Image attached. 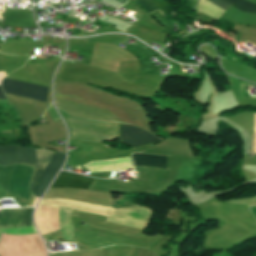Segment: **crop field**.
<instances>
[{"instance_id":"obj_1","label":"crop field","mask_w":256,"mask_h":256,"mask_svg":"<svg viewBox=\"0 0 256 256\" xmlns=\"http://www.w3.org/2000/svg\"><path fill=\"white\" fill-rule=\"evenodd\" d=\"M0 256H46V250L38 233L27 236L2 234Z\"/></svg>"},{"instance_id":"obj_2","label":"crop field","mask_w":256,"mask_h":256,"mask_svg":"<svg viewBox=\"0 0 256 256\" xmlns=\"http://www.w3.org/2000/svg\"><path fill=\"white\" fill-rule=\"evenodd\" d=\"M33 168L26 165H15L10 177L6 196L14 197L16 203L24 207L29 201V182Z\"/></svg>"},{"instance_id":"obj_3","label":"crop field","mask_w":256,"mask_h":256,"mask_svg":"<svg viewBox=\"0 0 256 256\" xmlns=\"http://www.w3.org/2000/svg\"><path fill=\"white\" fill-rule=\"evenodd\" d=\"M2 87L5 93L41 101L46 100L48 90L46 87L7 79H4Z\"/></svg>"},{"instance_id":"obj_4","label":"crop field","mask_w":256,"mask_h":256,"mask_svg":"<svg viewBox=\"0 0 256 256\" xmlns=\"http://www.w3.org/2000/svg\"><path fill=\"white\" fill-rule=\"evenodd\" d=\"M120 133L123 142L133 147L160 140L139 128L127 124L120 128Z\"/></svg>"},{"instance_id":"obj_5","label":"crop field","mask_w":256,"mask_h":256,"mask_svg":"<svg viewBox=\"0 0 256 256\" xmlns=\"http://www.w3.org/2000/svg\"><path fill=\"white\" fill-rule=\"evenodd\" d=\"M2 17L4 26L37 28L31 11L3 10Z\"/></svg>"},{"instance_id":"obj_6","label":"crop field","mask_w":256,"mask_h":256,"mask_svg":"<svg viewBox=\"0 0 256 256\" xmlns=\"http://www.w3.org/2000/svg\"><path fill=\"white\" fill-rule=\"evenodd\" d=\"M92 181V178L61 171L51 188L87 189Z\"/></svg>"},{"instance_id":"obj_7","label":"crop field","mask_w":256,"mask_h":256,"mask_svg":"<svg viewBox=\"0 0 256 256\" xmlns=\"http://www.w3.org/2000/svg\"><path fill=\"white\" fill-rule=\"evenodd\" d=\"M64 158H65V154L50 151V158L48 160V166H47L46 172L40 182L36 197L40 198V196L46 190V188L50 184L51 180L53 179V177L55 176V174L57 173L59 168L62 166V164L64 162ZM36 201H38L37 198H36Z\"/></svg>"},{"instance_id":"obj_8","label":"crop field","mask_w":256,"mask_h":256,"mask_svg":"<svg viewBox=\"0 0 256 256\" xmlns=\"http://www.w3.org/2000/svg\"><path fill=\"white\" fill-rule=\"evenodd\" d=\"M49 151L36 149L37 163L31 181L30 191L35 195L39 182L45 172Z\"/></svg>"},{"instance_id":"obj_9","label":"crop field","mask_w":256,"mask_h":256,"mask_svg":"<svg viewBox=\"0 0 256 256\" xmlns=\"http://www.w3.org/2000/svg\"><path fill=\"white\" fill-rule=\"evenodd\" d=\"M25 208L7 209L0 212V228L18 227Z\"/></svg>"},{"instance_id":"obj_10","label":"crop field","mask_w":256,"mask_h":256,"mask_svg":"<svg viewBox=\"0 0 256 256\" xmlns=\"http://www.w3.org/2000/svg\"><path fill=\"white\" fill-rule=\"evenodd\" d=\"M135 165H144V166H156L166 168V159L165 156L157 155H148V154H132Z\"/></svg>"},{"instance_id":"obj_11","label":"crop field","mask_w":256,"mask_h":256,"mask_svg":"<svg viewBox=\"0 0 256 256\" xmlns=\"http://www.w3.org/2000/svg\"><path fill=\"white\" fill-rule=\"evenodd\" d=\"M36 157L35 149L23 148L17 146V162L21 164H29L35 166Z\"/></svg>"},{"instance_id":"obj_12","label":"crop field","mask_w":256,"mask_h":256,"mask_svg":"<svg viewBox=\"0 0 256 256\" xmlns=\"http://www.w3.org/2000/svg\"><path fill=\"white\" fill-rule=\"evenodd\" d=\"M16 162L15 146L1 145L0 146V165H8Z\"/></svg>"},{"instance_id":"obj_13","label":"crop field","mask_w":256,"mask_h":256,"mask_svg":"<svg viewBox=\"0 0 256 256\" xmlns=\"http://www.w3.org/2000/svg\"><path fill=\"white\" fill-rule=\"evenodd\" d=\"M225 1L230 2V3L232 4L231 6H233V7H235V8H238V9H240V10H242V11H245V12H247V13H250V14L256 16V8L250 7V6H255V7H256L255 4L248 3V2H245V1H243V0H239V1H241V2H243V3H246V4L250 5V6H248V5H246V4H243V3L239 2V1H236V0H225ZM230 3H229V4H230Z\"/></svg>"},{"instance_id":"obj_14","label":"crop field","mask_w":256,"mask_h":256,"mask_svg":"<svg viewBox=\"0 0 256 256\" xmlns=\"http://www.w3.org/2000/svg\"><path fill=\"white\" fill-rule=\"evenodd\" d=\"M13 165L8 167H0V187L6 191L9 176Z\"/></svg>"},{"instance_id":"obj_15","label":"crop field","mask_w":256,"mask_h":256,"mask_svg":"<svg viewBox=\"0 0 256 256\" xmlns=\"http://www.w3.org/2000/svg\"><path fill=\"white\" fill-rule=\"evenodd\" d=\"M134 2H136L138 5H140L142 8H144L145 10H147L150 13H153L157 10H159L156 6H154L150 0H133Z\"/></svg>"},{"instance_id":"obj_16","label":"crop field","mask_w":256,"mask_h":256,"mask_svg":"<svg viewBox=\"0 0 256 256\" xmlns=\"http://www.w3.org/2000/svg\"><path fill=\"white\" fill-rule=\"evenodd\" d=\"M32 210H33V208H26L25 209V212H24V215H23V218L21 220V223H20L19 227L33 225L32 220H31Z\"/></svg>"},{"instance_id":"obj_17","label":"crop field","mask_w":256,"mask_h":256,"mask_svg":"<svg viewBox=\"0 0 256 256\" xmlns=\"http://www.w3.org/2000/svg\"><path fill=\"white\" fill-rule=\"evenodd\" d=\"M208 1L217 5V6H219V7H221V8H223V9H225V10L229 6V4H227V3H225L221 0H208Z\"/></svg>"},{"instance_id":"obj_18","label":"crop field","mask_w":256,"mask_h":256,"mask_svg":"<svg viewBox=\"0 0 256 256\" xmlns=\"http://www.w3.org/2000/svg\"><path fill=\"white\" fill-rule=\"evenodd\" d=\"M33 201H34V197L32 194H30V201L29 203L27 204V206H32L33 205Z\"/></svg>"},{"instance_id":"obj_19","label":"crop field","mask_w":256,"mask_h":256,"mask_svg":"<svg viewBox=\"0 0 256 256\" xmlns=\"http://www.w3.org/2000/svg\"><path fill=\"white\" fill-rule=\"evenodd\" d=\"M0 99H6L1 87H0Z\"/></svg>"},{"instance_id":"obj_20","label":"crop field","mask_w":256,"mask_h":256,"mask_svg":"<svg viewBox=\"0 0 256 256\" xmlns=\"http://www.w3.org/2000/svg\"><path fill=\"white\" fill-rule=\"evenodd\" d=\"M117 1H119V2H121V3L124 4V2H125L126 0H117Z\"/></svg>"}]
</instances>
